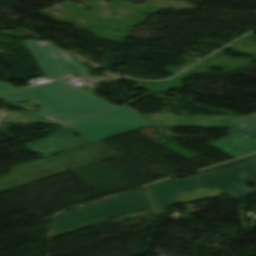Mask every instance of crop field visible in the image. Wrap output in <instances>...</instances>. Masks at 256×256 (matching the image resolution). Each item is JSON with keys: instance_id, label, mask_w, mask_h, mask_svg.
<instances>
[{"instance_id": "obj_9", "label": "crop field", "mask_w": 256, "mask_h": 256, "mask_svg": "<svg viewBox=\"0 0 256 256\" xmlns=\"http://www.w3.org/2000/svg\"><path fill=\"white\" fill-rule=\"evenodd\" d=\"M11 90H15L10 83L0 82V93L8 92Z\"/></svg>"}, {"instance_id": "obj_6", "label": "crop field", "mask_w": 256, "mask_h": 256, "mask_svg": "<svg viewBox=\"0 0 256 256\" xmlns=\"http://www.w3.org/2000/svg\"><path fill=\"white\" fill-rule=\"evenodd\" d=\"M231 123L240 126L229 137L211 144L235 158L256 152V114Z\"/></svg>"}, {"instance_id": "obj_3", "label": "crop field", "mask_w": 256, "mask_h": 256, "mask_svg": "<svg viewBox=\"0 0 256 256\" xmlns=\"http://www.w3.org/2000/svg\"><path fill=\"white\" fill-rule=\"evenodd\" d=\"M244 173V177L240 174ZM256 182V160L229 170L187 179L166 181L148 187L156 213H166L164 206L179 203L177 195L217 185L227 195L237 199L256 192L246 184Z\"/></svg>"}, {"instance_id": "obj_8", "label": "crop field", "mask_w": 256, "mask_h": 256, "mask_svg": "<svg viewBox=\"0 0 256 256\" xmlns=\"http://www.w3.org/2000/svg\"><path fill=\"white\" fill-rule=\"evenodd\" d=\"M255 157H256V155H252V156L240 159V160H236V161H233V162H230V163L222 164V165H219V166H216V167H212V168H209V169H206V170L199 171V173L202 174V173H206V172H210V171H214V170L225 169V168L237 166V165H239L243 162H246L250 159H253Z\"/></svg>"}, {"instance_id": "obj_1", "label": "crop field", "mask_w": 256, "mask_h": 256, "mask_svg": "<svg viewBox=\"0 0 256 256\" xmlns=\"http://www.w3.org/2000/svg\"><path fill=\"white\" fill-rule=\"evenodd\" d=\"M63 132H54L45 140L26 144L29 150L45 157L97 140L151 125L125 105L101 111L88 117L64 123ZM73 133L82 136L76 137Z\"/></svg>"}, {"instance_id": "obj_4", "label": "crop field", "mask_w": 256, "mask_h": 256, "mask_svg": "<svg viewBox=\"0 0 256 256\" xmlns=\"http://www.w3.org/2000/svg\"><path fill=\"white\" fill-rule=\"evenodd\" d=\"M145 189L61 214L53 224V237L119 215L149 207Z\"/></svg>"}, {"instance_id": "obj_2", "label": "crop field", "mask_w": 256, "mask_h": 256, "mask_svg": "<svg viewBox=\"0 0 256 256\" xmlns=\"http://www.w3.org/2000/svg\"><path fill=\"white\" fill-rule=\"evenodd\" d=\"M0 98L6 102L32 99L46 109L44 115L60 123L115 107L62 80L3 95Z\"/></svg>"}, {"instance_id": "obj_7", "label": "crop field", "mask_w": 256, "mask_h": 256, "mask_svg": "<svg viewBox=\"0 0 256 256\" xmlns=\"http://www.w3.org/2000/svg\"><path fill=\"white\" fill-rule=\"evenodd\" d=\"M223 193H224L223 191H221L217 186H215V187L179 195L178 197L180 202H186L194 199L209 197V196L223 194Z\"/></svg>"}, {"instance_id": "obj_5", "label": "crop field", "mask_w": 256, "mask_h": 256, "mask_svg": "<svg viewBox=\"0 0 256 256\" xmlns=\"http://www.w3.org/2000/svg\"><path fill=\"white\" fill-rule=\"evenodd\" d=\"M48 81L66 76V73L90 76L85 67L72 61L67 52L50 42L25 41Z\"/></svg>"}]
</instances>
